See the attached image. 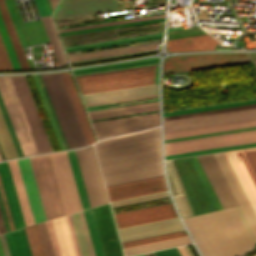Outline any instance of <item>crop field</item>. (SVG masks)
<instances>
[{
	"mask_svg": "<svg viewBox=\"0 0 256 256\" xmlns=\"http://www.w3.org/2000/svg\"><path fill=\"white\" fill-rule=\"evenodd\" d=\"M0 194H1V198H2V201H3L4 208H5V212H6V215H7L10 230L12 231V230H14V228H13L11 216H10V213H9L8 205H7V202H6L4 190H3V187H2L1 179H0Z\"/></svg>",
	"mask_w": 256,
	"mask_h": 256,
	"instance_id": "obj_51",
	"label": "crop field"
},
{
	"mask_svg": "<svg viewBox=\"0 0 256 256\" xmlns=\"http://www.w3.org/2000/svg\"><path fill=\"white\" fill-rule=\"evenodd\" d=\"M92 214L105 256H123L110 205L92 208Z\"/></svg>",
	"mask_w": 256,
	"mask_h": 256,
	"instance_id": "obj_12",
	"label": "crop field"
},
{
	"mask_svg": "<svg viewBox=\"0 0 256 256\" xmlns=\"http://www.w3.org/2000/svg\"><path fill=\"white\" fill-rule=\"evenodd\" d=\"M57 1H58V0H49L50 5H51V7H52V10L54 9V7H55Z\"/></svg>",
	"mask_w": 256,
	"mask_h": 256,
	"instance_id": "obj_61",
	"label": "crop field"
},
{
	"mask_svg": "<svg viewBox=\"0 0 256 256\" xmlns=\"http://www.w3.org/2000/svg\"><path fill=\"white\" fill-rule=\"evenodd\" d=\"M17 161H18V165L22 175L27 197L29 200V204L31 207L34 222L36 223V222L44 221L46 219H45L43 208L40 202L38 191L36 188L34 177L31 171L29 160L28 158H25V159H19Z\"/></svg>",
	"mask_w": 256,
	"mask_h": 256,
	"instance_id": "obj_19",
	"label": "crop field"
},
{
	"mask_svg": "<svg viewBox=\"0 0 256 256\" xmlns=\"http://www.w3.org/2000/svg\"><path fill=\"white\" fill-rule=\"evenodd\" d=\"M158 62V59L142 61V62H134V63H126V64H118V65H111V66H104L98 68H91V69H84L75 71L74 74L77 73H84V72H91V71H98V70H105V69H112V68H119V67H126V66H133V65H141V64H148V63H155Z\"/></svg>",
	"mask_w": 256,
	"mask_h": 256,
	"instance_id": "obj_47",
	"label": "crop field"
},
{
	"mask_svg": "<svg viewBox=\"0 0 256 256\" xmlns=\"http://www.w3.org/2000/svg\"><path fill=\"white\" fill-rule=\"evenodd\" d=\"M0 241H1V244H2L4 255L5 256H10L4 234L0 235Z\"/></svg>",
	"mask_w": 256,
	"mask_h": 256,
	"instance_id": "obj_55",
	"label": "crop field"
},
{
	"mask_svg": "<svg viewBox=\"0 0 256 256\" xmlns=\"http://www.w3.org/2000/svg\"><path fill=\"white\" fill-rule=\"evenodd\" d=\"M76 155L90 206L108 202L93 146L77 149Z\"/></svg>",
	"mask_w": 256,
	"mask_h": 256,
	"instance_id": "obj_10",
	"label": "crop field"
},
{
	"mask_svg": "<svg viewBox=\"0 0 256 256\" xmlns=\"http://www.w3.org/2000/svg\"><path fill=\"white\" fill-rule=\"evenodd\" d=\"M159 38H162V35L146 37V38H139V39H132V40H125V41H119V42H112V43H105V44H97V45H90V46H83V47L68 48V49H65V51L69 52V51H76V50H83V49H90V48H97V47H104V46H111V45H117V44H124V43H131V42L159 39Z\"/></svg>",
	"mask_w": 256,
	"mask_h": 256,
	"instance_id": "obj_42",
	"label": "crop field"
},
{
	"mask_svg": "<svg viewBox=\"0 0 256 256\" xmlns=\"http://www.w3.org/2000/svg\"><path fill=\"white\" fill-rule=\"evenodd\" d=\"M52 226L61 256H77L72 242L67 218L52 220Z\"/></svg>",
	"mask_w": 256,
	"mask_h": 256,
	"instance_id": "obj_25",
	"label": "crop field"
},
{
	"mask_svg": "<svg viewBox=\"0 0 256 256\" xmlns=\"http://www.w3.org/2000/svg\"><path fill=\"white\" fill-rule=\"evenodd\" d=\"M5 235L11 256H31L23 228Z\"/></svg>",
	"mask_w": 256,
	"mask_h": 256,
	"instance_id": "obj_30",
	"label": "crop field"
},
{
	"mask_svg": "<svg viewBox=\"0 0 256 256\" xmlns=\"http://www.w3.org/2000/svg\"><path fill=\"white\" fill-rule=\"evenodd\" d=\"M256 120L164 133V139L254 127Z\"/></svg>",
	"mask_w": 256,
	"mask_h": 256,
	"instance_id": "obj_26",
	"label": "crop field"
},
{
	"mask_svg": "<svg viewBox=\"0 0 256 256\" xmlns=\"http://www.w3.org/2000/svg\"><path fill=\"white\" fill-rule=\"evenodd\" d=\"M68 148L86 146L83 133L60 73L41 75Z\"/></svg>",
	"mask_w": 256,
	"mask_h": 256,
	"instance_id": "obj_4",
	"label": "crop field"
},
{
	"mask_svg": "<svg viewBox=\"0 0 256 256\" xmlns=\"http://www.w3.org/2000/svg\"><path fill=\"white\" fill-rule=\"evenodd\" d=\"M178 250H179V252H180L181 256H188V255H187V253L185 252V250H184L183 246L178 247Z\"/></svg>",
	"mask_w": 256,
	"mask_h": 256,
	"instance_id": "obj_60",
	"label": "crop field"
},
{
	"mask_svg": "<svg viewBox=\"0 0 256 256\" xmlns=\"http://www.w3.org/2000/svg\"><path fill=\"white\" fill-rule=\"evenodd\" d=\"M162 17H165V14L149 16V17H142V18H135V19H128V20H122V21H115V22H108V23H101V24H95V25L74 27V28H68V29H61V30H58V31L62 32V31H70V30H77V29L92 28V27H100V26H107V25H113V24H119V23L131 22V21L154 19V18H162Z\"/></svg>",
	"mask_w": 256,
	"mask_h": 256,
	"instance_id": "obj_43",
	"label": "crop field"
},
{
	"mask_svg": "<svg viewBox=\"0 0 256 256\" xmlns=\"http://www.w3.org/2000/svg\"><path fill=\"white\" fill-rule=\"evenodd\" d=\"M5 227H4V224H3V220H2V217H1V213H0V234L1 233H5Z\"/></svg>",
	"mask_w": 256,
	"mask_h": 256,
	"instance_id": "obj_59",
	"label": "crop field"
},
{
	"mask_svg": "<svg viewBox=\"0 0 256 256\" xmlns=\"http://www.w3.org/2000/svg\"><path fill=\"white\" fill-rule=\"evenodd\" d=\"M0 149L5 160L19 157L0 111Z\"/></svg>",
	"mask_w": 256,
	"mask_h": 256,
	"instance_id": "obj_31",
	"label": "crop field"
},
{
	"mask_svg": "<svg viewBox=\"0 0 256 256\" xmlns=\"http://www.w3.org/2000/svg\"><path fill=\"white\" fill-rule=\"evenodd\" d=\"M225 154H226V156H227V158H228V160H229V162H230V164H231V166H232V168H233V170H234V172H235V174H236V176H237V178H238V180H239V182H240V184H241V186L244 190V192L246 193V195H247V197H248V199H249V201H250V203H251V205H252V207H253V209L256 213V199H255V197H254V195H253V193H252V191H251V189H250V187H249V185H248V183H247V181H246V179H245V177H244V175H243V173H242V171H241V169H240V167H239V165H238V163H237V161H236V159H235V157L232 153V151H227V152H225Z\"/></svg>",
	"mask_w": 256,
	"mask_h": 256,
	"instance_id": "obj_34",
	"label": "crop field"
},
{
	"mask_svg": "<svg viewBox=\"0 0 256 256\" xmlns=\"http://www.w3.org/2000/svg\"><path fill=\"white\" fill-rule=\"evenodd\" d=\"M184 222L203 256H242L254 246L235 207Z\"/></svg>",
	"mask_w": 256,
	"mask_h": 256,
	"instance_id": "obj_2",
	"label": "crop field"
},
{
	"mask_svg": "<svg viewBox=\"0 0 256 256\" xmlns=\"http://www.w3.org/2000/svg\"><path fill=\"white\" fill-rule=\"evenodd\" d=\"M233 153H234V155H235V157H236V159H237L245 177L247 178V180H248V182H249V184H250V186H251V188H252V190H253V192L256 196V182H255V180H254V178H253V176H252V174H251V172H250V170H249V168H248L240 150H235V151H233Z\"/></svg>",
	"mask_w": 256,
	"mask_h": 256,
	"instance_id": "obj_40",
	"label": "crop field"
},
{
	"mask_svg": "<svg viewBox=\"0 0 256 256\" xmlns=\"http://www.w3.org/2000/svg\"><path fill=\"white\" fill-rule=\"evenodd\" d=\"M118 9L115 0H83L59 4L53 18H63Z\"/></svg>",
	"mask_w": 256,
	"mask_h": 256,
	"instance_id": "obj_18",
	"label": "crop field"
},
{
	"mask_svg": "<svg viewBox=\"0 0 256 256\" xmlns=\"http://www.w3.org/2000/svg\"><path fill=\"white\" fill-rule=\"evenodd\" d=\"M0 175L6 192L15 228H22L25 225L7 161L0 162Z\"/></svg>",
	"mask_w": 256,
	"mask_h": 256,
	"instance_id": "obj_22",
	"label": "crop field"
},
{
	"mask_svg": "<svg viewBox=\"0 0 256 256\" xmlns=\"http://www.w3.org/2000/svg\"><path fill=\"white\" fill-rule=\"evenodd\" d=\"M106 188L110 201L167 190L163 176Z\"/></svg>",
	"mask_w": 256,
	"mask_h": 256,
	"instance_id": "obj_15",
	"label": "crop field"
},
{
	"mask_svg": "<svg viewBox=\"0 0 256 256\" xmlns=\"http://www.w3.org/2000/svg\"><path fill=\"white\" fill-rule=\"evenodd\" d=\"M254 63H255V65H256V61H255Z\"/></svg>",
	"mask_w": 256,
	"mask_h": 256,
	"instance_id": "obj_65",
	"label": "crop field"
},
{
	"mask_svg": "<svg viewBox=\"0 0 256 256\" xmlns=\"http://www.w3.org/2000/svg\"><path fill=\"white\" fill-rule=\"evenodd\" d=\"M255 102H256V100H254V101H247V102H240V103H233V104H227V105H220V106H213V107H206V108H200V109L179 111V112H173V113H166V114H163V117L172 116V115H178V114H184V113H190V112H196V111H202V110H208V109H214V108H221V107L242 105V104H248V103H255Z\"/></svg>",
	"mask_w": 256,
	"mask_h": 256,
	"instance_id": "obj_48",
	"label": "crop field"
},
{
	"mask_svg": "<svg viewBox=\"0 0 256 256\" xmlns=\"http://www.w3.org/2000/svg\"><path fill=\"white\" fill-rule=\"evenodd\" d=\"M35 3L41 16L49 15L43 0H35Z\"/></svg>",
	"mask_w": 256,
	"mask_h": 256,
	"instance_id": "obj_54",
	"label": "crop field"
},
{
	"mask_svg": "<svg viewBox=\"0 0 256 256\" xmlns=\"http://www.w3.org/2000/svg\"><path fill=\"white\" fill-rule=\"evenodd\" d=\"M36 76H37V78H38L39 84H40L41 89H42V91H43V94H44V96H45L46 102H47V104H48V107H49V109H50L51 115H52L53 120H54V122H55L56 128H57L58 133H59V135H60V138H61V140H62L63 146H64L65 149H68V148H67V145H66V143H65L64 137H63V135H62L61 129H60V127H59L58 121H57V119H56L55 113H54V111H53L52 105H51V103H50L49 97H48V95H47L46 89H45V87H44L43 81H42V79H41V76H40V75H36Z\"/></svg>",
	"mask_w": 256,
	"mask_h": 256,
	"instance_id": "obj_44",
	"label": "crop field"
},
{
	"mask_svg": "<svg viewBox=\"0 0 256 256\" xmlns=\"http://www.w3.org/2000/svg\"><path fill=\"white\" fill-rule=\"evenodd\" d=\"M0 256H4L2 252L1 244H0Z\"/></svg>",
	"mask_w": 256,
	"mask_h": 256,
	"instance_id": "obj_62",
	"label": "crop field"
},
{
	"mask_svg": "<svg viewBox=\"0 0 256 256\" xmlns=\"http://www.w3.org/2000/svg\"><path fill=\"white\" fill-rule=\"evenodd\" d=\"M256 119V104L163 118L164 132Z\"/></svg>",
	"mask_w": 256,
	"mask_h": 256,
	"instance_id": "obj_5",
	"label": "crop field"
},
{
	"mask_svg": "<svg viewBox=\"0 0 256 256\" xmlns=\"http://www.w3.org/2000/svg\"><path fill=\"white\" fill-rule=\"evenodd\" d=\"M155 254H156V256H180L177 248L162 250V251H156Z\"/></svg>",
	"mask_w": 256,
	"mask_h": 256,
	"instance_id": "obj_52",
	"label": "crop field"
},
{
	"mask_svg": "<svg viewBox=\"0 0 256 256\" xmlns=\"http://www.w3.org/2000/svg\"><path fill=\"white\" fill-rule=\"evenodd\" d=\"M156 48H157V45H151V46H143V47L122 49V50H115V51H107V52H100V53H93V54H86V55L71 56V57H68V59L70 61H75V60L103 57V56H110V55H118V54L153 50Z\"/></svg>",
	"mask_w": 256,
	"mask_h": 256,
	"instance_id": "obj_35",
	"label": "crop field"
},
{
	"mask_svg": "<svg viewBox=\"0 0 256 256\" xmlns=\"http://www.w3.org/2000/svg\"><path fill=\"white\" fill-rule=\"evenodd\" d=\"M214 156L256 236V215L246 195L244 194L224 152L215 153Z\"/></svg>",
	"mask_w": 256,
	"mask_h": 256,
	"instance_id": "obj_17",
	"label": "crop field"
},
{
	"mask_svg": "<svg viewBox=\"0 0 256 256\" xmlns=\"http://www.w3.org/2000/svg\"><path fill=\"white\" fill-rule=\"evenodd\" d=\"M45 223H46V227H47V230H48V234H49V237H50V241H51V244H52L54 254H55V256H60L58 248H57L56 240H55V237H54V233H53V230H52L51 222L47 221Z\"/></svg>",
	"mask_w": 256,
	"mask_h": 256,
	"instance_id": "obj_50",
	"label": "crop field"
},
{
	"mask_svg": "<svg viewBox=\"0 0 256 256\" xmlns=\"http://www.w3.org/2000/svg\"><path fill=\"white\" fill-rule=\"evenodd\" d=\"M175 217L171 203L114 215L118 228Z\"/></svg>",
	"mask_w": 256,
	"mask_h": 256,
	"instance_id": "obj_14",
	"label": "crop field"
},
{
	"mask_svg": "<svg viewBox=\"0 0 256 256\" xmlns=\"http://www.w3.org/2000/svg\"><path fill=\"white\" fill-rule=\"evenodd\" d=\"M195 215L217 210L218 207L193 159L172 160Z\"/></svg>",
	"mask_w": 256,
	"mask_h": 256,
	"instance_id": "obj_6",
	"label": "crop field"
},
{
	"mask_svg": "<svg viewBox=\"0 0 256 256\" xmlns=\"http://www.w3.org/2000/svg\"><path fill=\"white\" fill-rule=\"evenodd\" d=\"M214 44H218L209 35L170 40L167 41L166 48L169 52L197 51L215 49Z\"/></svg>",
	"mask_w": 256,
	"mask_h": 256,
	"instance_id": "obj_23",
	"label": "crop field"
},
{
	"mask_svg": "<svg viewBox=\"0 0 256 256\" xmlns=\"http://www.w3.org/2000/svg\"><path fill=\"white\" fill-rule=\"evenodd\" d=\"M155 93H158L157 84L105 91V92H98V93H91V94H84L81 96L83 98L84 103L88 104V103H94V102H100V101H107V100L155 94Z\"/></svg>",
	"mask_w": 256,
	"mask_h": 256,
	"instance_id": "obj_21",
	"label": "crop field"
},
{
	"mask_svg": "<svg viewBox=\"0 0 256 256\" xmlns=\"http://www.w3.org/2000/svg\"><path fill=\"white\" fill-rule=\"evenodd\" d=\"M64 1H70V0H61L60 2H64Z\"/></svg>",
	"mask_w": 256,
	"mask_h": 256,
	"instance_id": "obj_63",
	"label": "crop field"
},
{
	"mask_svg": "<svg viewBox=\"0 0 256 256\" xmlns=\"http://www.w3.org/2000/svg\"><path fill=\"white\" fill-rule=\"evenodd\" d=\"M67 217H68L69 225H70V228H71L72 236H73V239H74L75 247H76V250H77V254H78V256H81V252H80L79 245H78V242H77V238H76V234H75L74 227H73V224H72L71 216L68 215Z\"/></svg>",
	"mask_w": 256,
	"mask_h": 256,
	"instance_id": "obj_53",
	"label": "crop field"
},
{
	"mask_svg": "<svg viewBox=\"0 0 256 256\" xmlns=\"http://www.w3.org/2000/svg\"><path fill=\"white\" fill-rule=\"evenodd\" d=\"M0 160H2L1 157H0Z\"/></svg>",
	"mask_w": 256,
	"mask_h": 256,
	"instance_id": "obj_66",
	"label": "crop field"
},
{
	"mask_svg": "<svg viewBox=\"0 0 256 256\" xmlns=\"http://www.w3.org/2000/svg\"><path fill=\"white\" fill-rule=\"evenodd\" d=\"M14 69L5 48L4 42L0 35V70H10Z\"/></svg>",
	"mask_w": 256,
	"mask_h": 256,
	"instance_id": "obj_45",
	"label": "crop field"
},
{
	"mask_svg": "<svg viewBox=\"0 0 256 256\" xmlns=\"http://www.w3.org/2000/svg\"><path fill=\"white\" fill-rule=\"evenodd\" d=\"M50 159L62 198L65 213L81 210V204L73 179L67 152L51 153Z\"/></svg>",
	"mask_w": 256,
	"mask_h": 256,
	"instance_id": "obj_11",
	"label": "crop field"
},
{
	"mask_svg": "<svg viewBox=\"0 0 256 256\" xmlns=\"http://www.w3.org/2000/svg\"><path fill=\"white\" fill-rule=\"evenodd\" d=\"M255 180H256V150L255 148L241 150Z\"/></svg>",
	"mask_w": 256,
	"mask_h": 256,
	"instance_id": "obj_46",
	"label": "crop field"
},
{
	"mask_svg": "<svg viewBox=\"0 0 256 256\" xmlns=\"http://www.w3.org/2000/svg\"><path fill=\"white\" fill-rule=\"evenodd\" d=\"M0 96L23 155L53 151L24 77H0Z\"/></svg>",
	"mask_w": 256,
	"mask_h": 256,
	"instance_id": "obj_3",
	"label": "crop field"
},
{
	"mask_svg": "<svg viewBox=\"0 0 256 256\" xmlns=\"http://www.w3.org/2000/svg\"><path fill=\"white\" fill-rule=\"evenodd\" d=\"M0 11H1L2 17L4 19V22L6 24L7 30L9 32V35L11 37V40L13 42L16 53L18 55V58L20 60L22 68L23 69L30 68L29 65H28L27 59L25 57V54L23 52L22 46L20 44V41L18 39L15 28L13 26V23L11 21L10 15H9L8 10L6 8L4 0H0Z\"/></svg>",
	"mask_w": 256,
	"mask_h": 256,
	"instance_id": "obj_29",
	"label": "crop field"
},
{
	"mask_svg": "<svg viewBox=\"0 0 256 256\" xmlns=\"http://www.w3.org/2000/svg\"><path fill=\"white\" fill-rule=\"evenodd\" d=\"M0 32H1V35H2L3 40L5 42L6 48L8 50L9 55H10V58L12 60L14 68L15 69H21V67L18 63L17 57L15 55L14 49L12 47L11 41L9 39L8 33L6 31L5 25L3 23L1 15H0Z\"/></svg>",
	"mask_w": 256,
	"mask_h": 256,
	"instance_id": "obj_39",
	"label": "crop field"
},
{
	"mask_svg": "<svg viewBox=\"0 0 256 256\" xmlns=\"http://www.w3.org/2000/svg\"><path fill=\"white\" fill-rule=\"evenodd\" d=\"M189 243H192V242L189 239V237L186 236V237H181V238H176V239H171V240H166V241H161V242H156V243H151V244H146V245L125 248L123 250H124V254L128 255V254H133V253H138V252H144V251L165 248V247H171V246H177V245H183V244H189Z\"/></svg>",
	"mask_w": 256,
	"mask_h": 256,
	"instance_id": "obj_32",
	"label": "crop field"
},
{
	"mask_svg": "<svg viewBox=\"0 0 256 256\" xmlns=\"http://www.w3.org/2000/svg\"><path fill=\"white\" fill-rule=\"evenodd\" d=\"M45 28L46 34L48 36L49 42L53 49L54 55L56 57L58 65H63L66 63L67 59L64 54L63 48L61 46L59 37L57 35L56 29L54 27L51 16L40 17Z\"/></svg>",
	"mask_w": 256,
	"mask_h": 256,
	"instance_id": "obj_28",
	"label": "crop field"
},
{
	"mask_svg": "<svg viewBox=\"0 0 256 256\" xmlns=\"http://www.w3.org/2000/svg\"><path fill=\"white\" fill-rule=\"evenodd\" d=\"M256 142V129L165 143V155Z\"/></svg>",
	"mask_w": 256,
	"mask_h": 256,
	"instance_id": "obj_8",
	"label": "crop field"
},
{
	"mask_svg": "<svg viewBox=\"0 0 256 256\" xmlns=\"http://www.w3.org/2000/svg\"><path fill=\"white\" fill-rule=\"evenodd\" d=\"M155 103H158V102H155ZM155 103H148V104H141V105L127 106V107H119V108H112V109H105V110L91 111V112H88V114L98 113V112H104V111H111V110H117V109H123V108H130V107H136V106H143V105H149V104H155Z\"/></svg>",
	"mask_w": 256,
	"mask_h": 256,
	"instance_id": "obj_57",
	"label": "crop field"
},
{
	"mask_svg": "<svg viewBox=\"0 0 256 256\" xmlns=\"http://www.w3.org/2000/svg\"><path fill=\"white\" fill-rule=\"evenodd\" d=\"M67 152H68L69 160H70V163H71L72 171H73V174H74V178H75L76 186H77V189H78L79 197H80V200H81L82 208L83 209L89 208L90 206H89L88 198H87L86 191H85V188H84V184H83V180H82V177H81L78 162H77V159H76L75 151L70 150V151H67Z\"/></svg>",
	"mask_w": 256,
	"mask_h": 256,
	"instance_id": "obj_33",
	"label": "crop field"
},
{
	"mask_svg": "<svg viewBox=\"0 0 256 256\" xmlns=\"http://www.w3.org/2000/svg\"><path fill=\"white\" fill-rule=\"evenodd\" d=\"M79 214H80L83 230H84V233H85L87 245H88V248H89L90 256H95L94 250H93V247H92V243H91V240H90V237H89V233H88V230H87V226H86V223H85V219H84V216H83V212L81 211V212H79Z\"/></svg>",
	"mask_w": 256,
	"mask_h": 256,
	"instance_id": "obj_49",
	"label": "crop field"
},
{
	"mask_svg": "<svg viewBox=\"0 0 256 256\" xmlns=\"http://www.w3.org/2000/svg\"><path fill=\"white\" fill-rule=\"evenodd\" d=\"M178 221H179V219L175 218V219H169V220H164V221H159V222H153V223H148V224L120 228V229H118V231H119V233H121V232L137 230V229H142V228H147V227H152V226H157V225H162V224H168V223H173V222H178ZM180 226H182V225L180 222H178V223L162 225V226H157V227H152V228H147V229H142V230H137V231L121 233V234H119V236H120V238H122V237L133 236V235H138V234H143V233H148V232H154V231H159V230H164V229H169V228L180 227ZM183 230H184V228L180 227V228L169 229V230H164V231H159V232H154V233H148V234H143V235H138V236H133V237L122 238V239H120V241L123 242V241L139 239V238H144V237H149V236H154V235H159V234L183 231Z\"/></svg>",
	"mask_w": 256,
	"mask_h": 256,
	"instance_id": "obj_20",
	"label": "crop field"
},
{
	"mask_svg": "<svg viewBox=\"0 0 256 256\" xmlns=\"http://www.w3.org/2000/svg\"><path fill=\"white\" fill-rule=\"evenodd\" d=\"M71 216H72V220H73V223H74L77 238H78V241H79L82 256H89V252H88V248H87V245H86L84 233H83V230H82L79 214L76 213V214H72Z\"/></svg>",
	"mask_w": 256,
	"mask_h": 256,
	"instance_id": "obj_38",
	"label": "crop field"
},
{
	"mask_svg": "<svg viewBox=\"0 0 256 256\" xmlns=\"http://www.w3.org/2000/svg\"><path fill=\"white\" fill-rule=\"evenodd\" d=\"M251 61L248 54H199L165 59L166 74Z\"/></svg>",
	"mask_w": 256,
	"mask_h": 256,
	"instance_id": "obj_9",
	"label": "crop field"
},
{
	"mask_svg": "<svg viewBox=\"0 0 256 256\" xmlns=\"http://www.w3.org/2000/svg\"><path fill=\"white\" fill-rule=\"evenodd\" d=\"M159 109L158 104L89 115L91 119Z\"/></svg>",
	"mask_w": 256,
	"mask_h": 256,
	"instance_id": "obj_37",
	"label": "crop field"
},
{
	"mask_svg": "<svg viewBox=\"0 0 256 256\" xmlns=\"http://www.w3.org/2000/svg\"><path fill=\"white\" fill-rule=\"evenodd\" d=\"M83 212H84V216H85L87 226H88V229H89V232H90V236H91L92 243H93V246H94L95 254H96V256H104L103 252H102L101 245H100V241H99V238H98V235H97V231H96V228H95V224H94V221H93V217H92V214H91V210L88 209V210H84Z\"/></svg>",
	"mask_w": 256,
	"mask_h": 256,
	"instance_id": "obj_36",
	"label": "crop field"
},
{
	"mask_svg": "<svg viewBox=\"0 0 256 256\" xmlns=\"http://www.w3.org/2000/svg\"><path fill=\"white\" fill-rule=\"evenodd\" d=\"M8 162H9L10 170H11V173H12L13 181H14V184H15L16 192H17V195H18L19 203H20V206H21L22 214H23V217H24L25 225L27 226V225L33 224L34 223L33 218H32V215H31L28 200H27L26 193H25V190H24V186H23V183H22V179H21V176H20L17 161L12 160V161H8Z\"/></svg>",
	"mask_w": 256,
	"mask_h": 256,
	"instance_id": "obj_27",
	"label": "crop field"
},
{
	"mask_svg": "<svg viewBox=\"0 0 256 256\" xmlns=\"http://www.w3.org/2000/svg\"><path fill=\"white\" fill-rule=\"evenodd\" d=\"M105 185L163 175L160 127L94 144Z\"/></svg>",
	"mask_w": 256,
	"mask_h": 256,
	"instance_id": "obj_1",
	"label": "crop field"
},
{
	"mask_svg": "<svg viewBox=\"0 0 256 256\" xmlns=\"http://www.w3.org/2000/svg\"><path fill=\"white\" fill-rule=\"evenodd\" d=\"M158 65V64H155ZM155 65H148V66H155ZM148 66H141V67H148ZM141 67H134V68H141ZM134 68H127V69H134ZM127 69H120V70H127ZM120 70H113V71H120ZM113 71H106V72H113ZM106 72H99V73H106ZM99 73H92V74H99ZM92 74H85V75H92ZM85 75H78V76H85ZM75 76V77H78Z\"/></svg>",
	"mask_w": 256,
	"mask_h": 256,
	"instance_id": "obj_58",
	"label": "crop field"
},
{
	"mask_svg": "<svg viewBox=\"0 0 256 256\" xmlns=\"http://www.w3.org/2000/svg\"><path fill=\"white\" fill-rule=\"evenodd\" d=\"M137 256H144V254H141V255H137Z\"/></svg>",
	"mask_w": 256,
	"mask_h": 256,
	"instance_id": "obj_64",
	"label": "crop field"
},
{
	"mask_svg": "<svg viewBox=\"0 0 256 256\" xmlns=\"http://www.w3.org/2000/svg\"><path fill=\"white\" fill-rule=\"evenodd\" d=\"M197 157V156H196ZM223 208L238 205L213 154L198 156Z\"/></svg>",
	"mask_w": 256,
	"mask_h": 256,
	"instance_id": "obj_16",
	"label": "crop field"
},
{
	"mask_svg": "<svg viewBox=\"0 0 256 256\" xmlns=\"http://www.w3.org/2000/svg\"><path fill=\"white\" fill-rule=\"evenodd\" d=\"M30 163L46 215V219H53L64 215L61 198L52 170L49 155L31 157Z\"/></svg>",
	"mask_w": 256,
	"mask_h": 256,
	"instance_id": "obj_7",
	"label": "crop field"
},
{
	"mask_svg": "<svg viewBox=\"0 0 256 256\" xmlns=\"http://www.w3.org/2000/svg\"><path fill=\"white\" fill-rule=\"evenodd\" d=\"M97 138L159 125V113L92 123Z\"/></svg>",
	"mask_w": 256,
	"mask_h": 256,
	"instance_id": "obj_13",
	"label": "crop field"
},
{
	"mask_svg": "<svg viewBox=\"0 0 256 256\" xmlns=\"http://www.w3.org/2000/svg\"><path fill=\"white\" fill-rule=\"evenodd\" d=\"M62 77L64 79L65 85L67 87L68 93L70 95L72 104L74 106L75 112L77 114L79 123L81 125L82 131L84 133L87 144L95 142L92 131L90 129L89 123L87 121L86 115L84 113L83 107L79 100L78 94L76 92L75 86L73 84L72 78L69 74L62 72Z\"/></svg>",
	"mask_w": 256,
	"mask_h": 256,
	"instance_id": "obj_24",
	"label": "crop field"
},
{
	"mask_svg": "<svg viewBox=\"0 0 256 256\" xmlns=\"http://www.w3.org/2000/svg\"><path fill=\"white\" fill-rule=\"evenodd\" d=\"M155 43H161V41L152 42V43H145V44H139V45L126 46V47H119V48H113V49H120V48H127V47H134V46H141V45H148V44H155ZM113 49H106V50H113ZM106 50H99V51H106ZM99 51H92V52H99ZM92 52H84V53L70 54V55H67V56L78 55V54H85V53H92Z\"/></svg>",
	"mask_w": 256,
	"mask_h": 256,
	"instance_id": "obj_56",
	"label": "crop field"
},
{
	"mask_svg": "<svg viewBox=\"0 0 256 256\" xmlns=\"http://www.w3.org/2000/svg\"><path fill=\"white\" fill-rule=\"evenodd\" d=\"M253 146H256V143L224 147V148H217V149H210V150H203V151H196V152H189V153H182V154H175V155H168V156H165V159L197 155V154H204V153H211V152H218V151H225V150H232V149H239V148H246V147H253Z\"/></svg>",
	"mask_w": 256,
	"mask_h": 256,
	"instance_id": "obj_41",
	"label": "crop field"
}]
</instances>
